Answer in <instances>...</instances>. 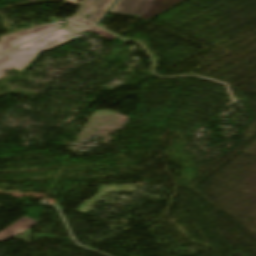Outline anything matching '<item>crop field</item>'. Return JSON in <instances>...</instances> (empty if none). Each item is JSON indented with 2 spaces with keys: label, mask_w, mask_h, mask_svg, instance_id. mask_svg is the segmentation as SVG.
Instances as JSON below:
<instances>
[{
  "label": "crop field",
  "mask_w": 256,
  "mask_h": 256,
  "mask_svg": "<svg viewBox=\"0 0 256 256\" xmlns=\"http://www.w3.org/2000/svg\"><path fill=\"white\" fill-rule=\"evenodd\" d=\"M71 34L72 33L70 31L61 29L1 54L11 59L0 65V77L4 76V70L13 68L20 71L24 70L40 52L71 41Z\"/></svg>",
  "instance_id": "crop-field-1"
},
{
  "label": "crop field",
  "mask_w": 256,
  "mask_h": 256,
  "mask_svg": "<svg viewBox=\"0 0 256 256\" xmlns=\"http://www.w3.org/2000/svg\"><path fill=\"white\" fill-rule=\"evenodd\" d=\"M184 0H118L110 13L132 17L139 15L147 20Z\"/></svg>",
  "instance_id": "crop-field-2"
},
{
  "label": "crop field",
  "mask_w": 256,
  "mask_h": 256,
  "mask_svg": "<svg viewBox=\"0 0 256 256\" xmlns=\"http://www.w3.org/2000/svg\"><path fill=\"white\" fill-rule=\"evenodd\" d=\"M59 29L57 26L54 24L50 23L47 25H43L40 27L28 29L25 31L17 32L14 34L6 35L1 37V42H0V53L16 46L19 45L23 42H26L28 40H31L33 38L39 37L45 33H48L50 31ZM7 60L6 58L0 56V63L4 62Z\"/></svg>",
  "instance_id": "crop-field-3"
},
{
  "label": "crop field",
  "mask_w": 256,
  "mask_h": 256,
  "mask_svg": "<svg viewBox=\"0 0 256 256\" xmlns=\"http://www.w3.org/2000/svg\"><path fill=\"white\" fill-rule=\"evenodd\" d=\"M113 1L114 0H85L78 15L82 17H84V15L90 16V19L84 18L97 25Z\"/></svg>",
  "instance_id": "crop-field-4"
},
{
  "label": "crop field",
  "mask_w": 256,
  "mask_h": 256,
  "mask_svg": "<svg viewBox=\"0 0 256 256\" xmlns=\"http://www.w3.org/2000/svg\"><path fill=\"white\" fill-rule=\"evenodd\" d=\"M36 221L28 219L26 217L20 219L19 221L13 223L8 228L0 232V241L5 240L9 237L17 235L34 225Z\"/></svg>",
  "instance_id": "crop-field-5"
},
{
  "label": "crop field",
  "mask_w": 256,
  "mask_h": 256,
  "mask_svg": "<svg viewBox=\"0 0 256 256\" xmlns=\"http://www.w3.org/2000/svg\"><path fill=\"white\" fill-rule=\"evenodd\" d=\"M70 30H72V31H74V32H76V33H81V32H96V33H98V34H100V35H102V36H105V37H107V38H109V39H111V40L115 37V36H113V35H111V34L105 32V31H103V30H101V29H99V28H97V27L74 28V29H70Z\"/></svg>",
  "instance_id": "crop-field-6"
},
{
  "label": "crop field",
  "mask_w": 256,
  "mask_h": 256,
  "mask_svg": "<svg viewBox=\"0 0 256 256\" xmlns=\"http://www.w3.org/2000/svg\"><path fill=\"white\" fill-rule=\"evenodd\" d=\"M65 21L69 22V23H67L68 26H66V27L93 25L79 17H74L72 19H68Z\"/></svg>",
  "instance_id": "crop-field-7"
}]
</instances>
